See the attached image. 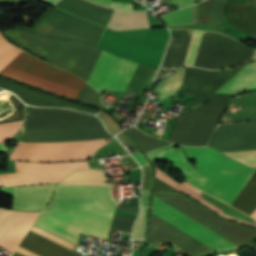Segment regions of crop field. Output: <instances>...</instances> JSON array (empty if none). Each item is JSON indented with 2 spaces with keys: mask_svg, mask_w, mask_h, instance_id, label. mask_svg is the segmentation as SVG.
<instances>
[{
  "mask_svg": "<svg viewBox=\"0 0 256 256\" xmlns=\"http://www.w3.org/2000/svg\"><path fill=\"white\" fill-rule=\"evenodd\" d=\"M115 209L42 213L35 225L77 244L79 233L107 239ZM136 218H113L111 229L131 233Z\"/></svg>",
  "mask_w": 256,
  "mask_h": 256,
  "instance_id": "crop-field-6",
  "label": "crop field"
},
{
  "mask_svg": "<svg viewBox=\"0 0 256 256\" xmlns=\"http://www.w3.org/2000/svg\"><path fill=\"white\" fill-rule=\"evenodd\" d=\"M107 115V114H106ZM105 114H99L100 118L104 121L108 129L114 133L115 131L119 130L120 128L117 126V124L112 120L111 117L106 116Z\"/></svg>",
  "mask_w": 256,
  "mask_h": 256,
  "instance_id": "crop-field-37",
  "label": "crop field"
},
{
  "mask_svg": "<svg viewBox=\"0 0 256 256\" xmlns=\"http://www.w3.org/2000/svg\"><path fill=\"white\" fill-rule=\"evenodd\" d=\"M31 231H33V232H35V233H37L39 235H42V236H44V237H46L48 239H51V240H53V241H55V242H57L59 244H62V245L66 246V247H68L70 249H72L74 247V245H72V244H70V243H68V242H66V241H64V240H62V239H60V238H58V237H56V236L46 232V231L38 228V227L33 226Z\"/></svg>",
  "mask_w": 256,
  "mask_h": 256,
  "instance_id": "crop-field-34",
  "label": "crop field"
},
{
  "mask_svg": "<svg viewBox=\"0 0 256 256\" xmlns=\"http://www.w3.org/2000/svg\"><path fill=\"white\" fill-rule=\"evenodd\" d=\"M208 146L221 152L256 150V122L219 126ZM224 154L256 168V151Z\"/></svg>",
  "mask_w": 256,
  "mask_h": 256,
  "instance_id": "crop-field-10",
  "label": "crop field"
},
{
  "mask_svg": "<svg viewBox=\"0 0 256 256\" xmlns=\"http://www.w3.org/2000/svg\"><path fill=\"white\" fill-rule=\"evenodd\" d=\"M16 29L46 38L80 41L93 46H96L103 32L50 8L46 9L33 28L18 25ZM25 31L6 30L4 34L12 42L47 62L87 80L101 50L79 42L46 39ZM136 66L137 63L103 50L87 82L100 94L103 89L125 91Z\"/></svg>",
  "mask_w": 256,
  "mask_h": 256,
  "instance_id": "crop-field-1",
  "label": "crop field"
},
{
  "mask_svg": "<svg viewBox=\"0 0 256 256\" xmlns=\"http://www.w3.org/2000/svg\"><path fill=\"white\" fill-rule=\"evenodd\" d=\"M6 150V147L2 144H0V152H4Z\"/></svg>",
  "mask_w": 256,
  "mask_h": 256,
  "instance_id": "crop-field-48",
  "label": "crop field"
},
{
  "mask_svg": "<svg viewBox=\"0 0 256 256\" xmlns=\"http://www.w3.org/2000/svg\"><path fill=\"white\" fill-rule=\"evenodd\" d=\"M225 0H212L209 8V20L221 22V8Z\"/></svg>",
  "mask_w": 256,
  "mask_h": 256,
  "instance_id": "crop-field-32",
  "label": "crop field"
},
{
  "mask_svg": "<svg viewBox=\"0 0 256 256\" xmlns=\"http://www.w3.org/2000/svg\"><path fill=\"white\" fill-rule=\"evenodd\" d=\"M196 5L161 17L166 26L195 23Z\"/></svg>",
  "mask_w": 256,
  "mask_h": 256,
  "instance_id": "crop-field-26",
  "label": "crop field"
},
{
  "mask_svg": "<svg viewBox=\"0 0 256 256\" xmlns=\"http://www.w3.org/2000/svg\"><path fill=\"white\" fill-rule=\"evenodd\" d=\"M158 170H159V169H158ZM158 170H157V167H156L155 177L161 179L162 181H164V182L168 183L169 185L173 186L174 188H176V189L180 190L181 192L187 194L188 196L192 197V198L195 199L196 201H198V202H200L201 204L205 205L206 207L210 208V209L213 210L214 212H216V213H218V214H220V215H223V216L232 218V219H234V220H236V221H239V222H241V223H243V224H247V225H251V226H255V227H256V225H253V224H250V223H248V222H245V221H242V220H239V219L230 217V216H228V215L222 213L221 210H219L218 208H216V207L210 205L209 203H207L206 201H204L203 199H201L200 197H198L197 195L200 193V191H198V190L194 189L193 187H191L186 181H185L184 183H182L181 185H183V186L189 188L190 190L196 192L197 194L194 193V192H192V191H190V190H188L187 188H185V187L179 185V184L176 183L174 180H172L171 178H169V177H168L165 173H163L161 170H159V172L162 173V174H164V175H166L167 177H165V176L159 174V173H158ZM177 184H178V185H177ZM176 185L179 186V187H181L182 189H184V190H186V191H190V192H192V193H194V194H196V195H194V194H192V193H190V192H186V191L182 190L181 188L177 187Z\"/></svg>",
  "mask_w": 256,
  "mask_h": 256,
  "instance_id": "crop-field-23",
  "label": "crop field"
},
{
  "mask_svg": "<svg viewBox=\"0 0 256 256\" xmlns=\"http://www.w3.org/2000/svg\"><path fill=\"white\" fill-rule=\"evenodd\" d=\"M23 121L0 124V142L12 136L21 126Z\"/></svg>",
  "mask_w": 256,
  "mask_h": 256,
  "instance_id": "crop-field-31",
  "label": "crop field"
},
{
  "mask_svg": "<svg viewBox=\"0 0 256 256\" xmlns=\"http://www.w3.org/2000/svg\"><path fill=\"white\" fill-rule=\"evenodd\" d=\"M141 129H143L144 125L143 124H137Z\"/></svg>",
  "mask_w": 256,
  "mask_h": 256,
  "instance_id": "crop-field-49",
  "label": "crop field"
},
{
  "mask_svg": "<svg viewBox=\"0 0 256 256\" xmlns=\"http://www.w3.org/2000/svg\"><path fill=\"white\" fill-rule=\"evenodd\" d=\"M108 27L117 30H126L150 27V25L146 11L126 12L116 10Z\"/></svg>",
  "mask_w": 256,
  "mask_h": 256,
  "instance_id": "crop-field-21",
  "label": "crop field"
},
{
  "mask_svg": "<svg viewBox=\"0 0 256 256\" xmlns=\"http://www.w3.org/2000/svg\"><path fill=\"white\" fill-rule=\"evenodd\" d=\"M134 156L138 159L141 165L149 164V162L145 159V157L140 152L134 154Z\"/></svg>",
  "mask_w": 256,
  "mask_h": 256,
  "instance_id": "crop-field-43",
  "label": "crop field"
},
{
  "mask_svg": "<svg viewBox=\"0 0 256 256\" xmlns=\"http://www.w3.org/2000/svg\"><path fill=\"white\" fill-rule=\"evenodd\" d=\"M256 88V62L249 63L228 83H226L218 93H237Z\"/></svg>",
  "mask_w": 256,
  "mask_h": 256,
  "instance_id": "crop-field-20",
  "label": "crop field"
},
{
  "mask_svg": "<svg viewBox=\"0 0 256 256\" xmlns=\"http://www.w3.org/2000/svg\"><path fill=\"white\" fill-rule=\"evenodd\" d=\"M231 97V95L214 94L206 104L227 107Z\"/></svg>",
  "mask_w": 256,
  "mask_h": 256,
  "instance_id": "crop-field-33",
  "label": "crop field"
},
{
  "mask_svg": "<svg viewBox=\"0 0 256 256\" xmlns=\"http://www.w3.org/2000/svg\"><path fill=\"white\" fill-rule=\"evenodd\" d=\"M154 196L165 201L237 246L256 237V230L221 219L186 199L184 196L160 194H154ZM156 197L153 198L152 214L215 251L237 248V246L231 244ZM154 215H152L151 220L149 244L171 243L190 256H197L214 251Z\"/></svg>",
  "mask_w": 256,
  "mask_h": 256,
  "instance_id": "crop-field-3",
  "label": "crop field"
},
{
  "mask_svg": "<svg viewBox=\"0 0 256 256\" xmlns=\"http://www.w3.org/2000/svg\"><path fill=\"white\" fill-rule=\"evenodd\" d=\"M146 213H147V208L141 207L140 217L137 220L135 227H134L133 240H143V238H144Z\"/></svg>",
  "mask_w": 256,
  "mask_h": 256,
  "instance_id": "crop-field-30",
  "label": "crop field"
},
{
  "mask_svg": "<svg viewBox=\"0 0 256 256\" xmlns=\"http://www.w3.org/2000/svg\"><path fill=\"white\" fill-rule=\"evenodd\" d=\"M20 50L0 34V72ZM0 75L75 100L85 83L77 76L52 67L23 50Z\"/></svg>",
  "mask_w": 256,
  "mask_h": 256,
  "instance_id": "crop-field-5",
  "label": "crop field"
},
{
  "mask_svg": "<svg viewBox=\"0 0 256 256\" xmlns=\"http://www.w3.org/2000/svg\"><path fill=\"white\" fill-rule=\"evenodd\" d=\"M13 256H23V255H21V254L15 252V254H14Z\"/></svg>",
  "mask_w": 256,
  "mask_h": 256,
  "instance_id": "crop-field-50",
  "label": "crop field"
},
{
  "mask_svg": "<svg viewBox=\"0 0 256 256\" xmlns=\"http://www.w3.org/2000/svg\"><path fill=\"white\" fill-rule=\"evenodd\" d=\"M118 203L112 198L111 184L66 181L58 183L54 198L44 211L105 209Z\"/></svg>",
  "mask_w": 256,
  "mask_h": 256,
  "instance_id": "crop-field-7",
  "label": "crop field"
},
{
  "mask_svg": "<svg viewBox=\"0 0 256 256\" xmlns=\"http://www.w3.org/2000/svg\"><path fill=\"white\" fill-rule=\"evenodd\" d=\"M48 2H50L52 5H56L57 3H59L61 0H47Z\"/></svg>",
  "mask_w": 256,
  "mask_h": 256,
  "instance_id": "crop-field-47",
  "label": "crop field"
},
{
  "mask_svg": "<svg viewBox=\"0 0 256 256\" xmlns=\"http://www.w3.org/2000/svg\"><path fill=\"white\" fill-rule=\"evenodd\" d=\"M56 184L0 188L2 193L12 195L15 210L42 211L48 203Z\"/></svg>",
  "mask_w": 256,
  "mask_h": 256,
  "instance_id": "crop-field-14",
  "label": "crop field"
},
{
  "mask_svg": "<svg viewBox=\"0 0 256 256\" xmlns=\"http://www.w3.org/2000/svg\"><path fill=\"white\" fill-rule=\"evenodd\" d=\"M78 101L101 109L105 108V106H103L99 102L98 93L94 91L91 87H89L87 84Z\"/></svg>",
  "mask_w": 256,
  "mask_h": 256,
  "instance_id": "crop-field-29",
  "label": "crop field"
},
{
  "mask_svg": "<svg viewBox=\"0 0 256 256\" xmlns=\"http://www.w3.org/2000/svg\"><path fill=\"white\" fill-rule=\"evenodd\" d=\"M183 147L189 158L195 159V167L201 174L238 194L254 172V169L239 164L211 148Z\"/></svg>",
  "mask_w": 256,
  "mask_h": 256,
  "instance_id": "crop-field-8",
  "label": "crop field"
},
{
  "mask_svg": "<svg viewBox=\"0 0 256 256\" xmlns=\"http://www.w3.org/2000/svg\"><path fill=\"white\" fill-rule=\"evenodd\" d=\"M38 215L39 213L20 212L9 230L0 240V247L13 253Z\"/></svg>",
  "mask_w": 256,
  "mask_h": 256,
  "instance_id": "crop-field-18",
  "label": "crop field"
},
{
  "mask_svg": "<svg viewBox=\"0 0 256 256\" xmlns=\"http://www.w3.org/2000/svg\"><path fill=\"white\" fill-rule=\"evenodd\" d=\"M173 4L178 5L179 9L192 4V0H172ZM194 4V0H193Z\"/></svg>",
  "mask_w": 256,
  "mask_h": 256,
  "instance_id": "crop-field-40",
  "label": "crop field"
},
{
  "mask_svg": "<svg viewBox=\"0 0 256 256\" xmlns=\"http://www.w3.org/2000/svg\"><path fill=\"white\" fill-rule=\"evenodd\" d=\"M243 66L221 71H204L202 69L186 68V74L182 84L188 86L185 92L186 94L195 96L191 106L204 103Z\"/></svg>",
  "mask_w": 256,
  "mask_h": 256,
  "instance_id": "crop-field-12",
  "label": "crop field"
},
{
  "mask_svg": "<svg viewBox=\"0 0 256 256\" xmlns=\"http://www.w3.org/2000/svg\"><path fill=\"white\" fill-rule=\"evenodd\" d=\"M126 131L132 137V139L137 143V145L142 149L143 152L169 143L166 141L149 137L144 133H142L140 130H138L136 127L126 129Z\"/></svg>",
  "mask_w": 256,
  "mask_h": 256,
  "instance_id": "crop-field-25",
  "label": "crop field"
},
{
  "mask_svg": "<svg viewBox=\"0 0 256 256\" xmlns=\"http://www.w3.org/2000/svg\"><path fill=\"white\" fill-rule=\"evenodd\" d=\"M185 69H180L175 73L163 79L155 88V91L161 92L160 100L166 98L171 94H175L183 80Z\"/></svg>",
  "mask_w": 256,
  "mask_h": 256,
  "instance_id": "crop-field-24",
  "label": "crop field"
},
{
  "mask_svg": "<svg viewBox=\"0 0 256 256\" xmlns=\"http://www.w3.org/2000/svg\"><path fill=\"white\" fill-rule=\"evenodd\" d=\"M102 170V169H101ZM99 169L94 170H82V171H74L62 181L66 180H94V181H107L105 174L103 171Z\"/></svg>",
  "mask_w": 256,
  "mask_h": 256,
  "instance_id": "crop-field-27",
  "label": "crop field"
},
{
  "mask_svg": "<svg viewBox=\"0 0 256 256\" xmlns=\"http://www.w3.org/2000/svg\"><path fill=\"white\" fill-rule=\"evenodd\" d=\"M0 87L11 90L15 92L24 102L30 105L35 106H61V107H68L78 110L87 111L93 114H96L97 112L92 111L90 109L77 106L68 102H65L63 100L57 99L52 96H48L45 94H41L32 90H28L22 87H19L17 85L11 84L9 82L0 80Z\"/></svg>",
  "mask_w": 256,
  "mask_h": 256,
  "instance_id": "crop-field-17",
  "label": "crop field"
},
{
  "mask_svg": "<svg viewBox=\"0 0 256 256\" xmlns=\"http://www.w3.org/2000/svg\"><path fill=\"white\" fill-rule=\"evenodd\" d=\"M112 137L90 114L65 109L26 108L20 142H60ZM105 139L61 143H18L10 159L63 161L88 159Z\"/></svg>",
  "mask_w": 256,
  "mask_h": 256,
  "instance_id": "crop-field-2",
  "label": "crop field"
},
{
  "mask_svg": "<svg viewBox=\"0 0 256 256\" xmlns=\"http://www.w3.org/2000/svg\"><path fill=\"white\" fill-rule=\"evenodd\" d=\"M17 252H19V253H21V254H23L25 256H38V255H36V254H34V253H32V252H30V251L20 247V246L18 247Z\"/></svg>",
  "mask_w": 256,
  "mask_h": 256,
  "instance_id": "crop-field-44",
  "label": "crop field"
},
{
  "mask_svg": "<svg viewBox=\"0 0 256 256\" xmlns=\"http://www.w3.org/2000/svg\"><path fill=\"white\" fill-rule=\"evenodd\" d=\"M224 14L227 22L234 28L256 35V0L227 1Z\"/></svg>",
  "mask_w": 256,
  "mask_h": 256,
  "instance_id": "crop-field-15",
  "label": "crop field"
},
{
  "mask_svg": "<svg viewBox=\"0 0 256 256\" xmlns=\"http://www.w3.org/2000/svg\"><path fill=\"white\" fill-rule=\"evenodd\" d=\"M18 214V211L0 209V239L8 230Z\"/></svg>",
  "mask_w": 256,
  "mask_h": 256,
  "instance_id": "crop-field-28",
  "label": "crop field"
},
{
  "mask_svg": "<svg viewBox=\"0 0 256 256\" xmlns=\"http://www.w3.org/2000/svg\"><path fill=\"white\" fill-rule=\"evenodd\" d=\"M153 192L182 195L179 192L175 191L174 189L170 188L169 186L165 185L164 183L160 182L157 179H155V181H154Z\"/></svg>",
  "mask_w": 256,
  "mask_h": 256,
  "instance_id": "crop-field-35",
  "label": "crop field"
},
{
  "mask_svg": "<svg viewBox=\"0 0 256 256\" xmlns=\"http://www.w3.org/2000/svg\"><path fill=\"white\" fill-rule=\"evenodd\" d=\"M15 167L16 173L0 175V180L4 185L58 181L74 169L89 168L87 161L53 163L15 161Z\"/></svg>",
  "mask_w": 256,
  "mask_h": 256,
  "instance_id": "crop-field-11",
  "label": "crop field"
},
{
  "mask_svg": "<svg viewBox=\"0 0 256 256\" xmlns=\"http://www.w3.org/2000/svg\"><path fill=\"white\" fill-rule=\"evenodd\" d=\"M89 1L109 7L111 0H89Z\"/></svg>",
  "mask_w": 256,
  "mask_h": 256,
  "instance_id": "crop-field-45",
  "label": "crop field"
},
{
  "mask_svg": "<svg viewBox=\"0 0 256 256\" xmlns=\"http://www.w3.org/2000/svg\"><path fill=\"white\" fill-rule=\"evenodd\" d=\"M203 1V0H202Z\"/></svg>",
  "mask_w": 256,
  "mask_h": 256,
  "instance_id": "crop-field-51",
  "label": "crop field"
},
{
  "mask_svg": "<svg viewBox=\"0 0 256 256\" xmlns=\"http://www.w3.org/2000/svg\"><path fill=\"white\" fill-rule=\"evenodd\" d=\"M170 146H172V144H171V145H168V146H165V147H162V148H159V149H156V150H154V151L148 152V153H146V155L149 157V159H150L152 162L160 161V154H161V152H162L164 149H166V148H168V147H170Z\"/></svg>",
  "mask_w": 256,
  "mask_h": 256,
  "instance_id": "crop-field-38",
  "label": "crop field"
},
{
  "mask_svg": "<svg viewBox=\"0 0 256 256\" xmlns=\"http://www.w3.org/2000/svg\"><path fill=\"white\" fill-rule=\"evenodd\" d=\"M143 170H144V179H143V184L141 189L150 190L152 166L149 165V166L143 167Z\"/></svg>",
  "mask_w": 256,
  "mask_h": 256,
  "instance_id": "crop-field-36",
  "label": "crop field"
},
{
  "mask_svg": "<svg viewBox=\"0 0 256 256\" xmlns=\"http://www.w3.org/2000/svg\"><path fill=\"white\" fill-rule=\"evenodd\" d=\"M225 108L202 105L175 118L169 141L176 144L206 145Z\"/></svg>",
  "mask_w": 256,
  "mask_h": 256,
  "instance_id": "crop-field-9",
  "label": "crop field"
},
{
  "mask_svg": "<svg viewBox=\"0 0 256 256\" xmlns=\"http://www.w3.org/2000/svg\"><path fill=\"white\" fill-rule=\"evenodd\" d=\"M193 30H177L171 47H168L162 69L182 67ZM203 31L194 30L183 66H192ZM255 48L223 36L203 32L202 40L193 66L218 69L249 61L255 54ZM254 59H256V54Z\"/></svg>",
  "mask_w": 256,
  "mask_h": 256,
  "instance_id": "crop-field-4",
  "label": "crop field"
},
{
  "mask_svg": "<svg viewBox=\"0 0 256 256\" xmlns=\"http://www.w3.org/2000/svg\"><path fill=\"white\" fill-rule=\"evenodd\" d=\"M117 208L135 213L137 212V205H130V206H118Z\"/></svg>",
  "mask_w": 256,
  "mask_h": 256,
  "instance_id": "crop-field-42",
  "label": "crop field"
},
{
  "mask_svg": "<svg viewBox=\"0 0 256 256\" xmlns=\"http://www.w3.org/2000/svg\"><path fill=\"white\" fill-rule=\"evenodd\" d=\"M110 7L114 8H121V9H127V10H133V6L130 3H116V2H111Z\"/></svg>",
  "mask_w": 256,
  "mask_h": 256,
  "instance_id": "crop-field-39",
  "label": "crop field"
},
{
  "mask_svg": "<svg viewBox=\"0 0 256 256\" xmlns=\"http://www.w3.org/2000/svg\"><path fill=\"white\" fill-rule=\"evenodd\" d=\"M20 246L40 256H81L31 231Z\"/></svg>",
  "mask_w": 256,
  "mask_h": 256,
  "instance_id": "crop-field-19",
  "label": "crop field"
},
{
  "mask_svg": "<svg viewBox=\"0 0 256 256\" xmlns=\"http://www.w3.org/2000/svg\"><path fill=\"white\" fill-rule=\"evenodd\" d=\"M56 7L81 16L103 26H107L113 10L103 8L84 0H62Z\"/></svg>",
  "mask_w": 256,
  "mask_h": 256,
  "instance_id": "crop-field-16",
  "label": "crop field"
},
{
  "mask_svg": "<svg viewBox=\"0 0 256 256\" xmlns=\"http://www.w3.org/2000/svg\"><path fill=\"white\" fill-rule=\"evenodd\" d=\"M231 206L252 217L256 214V173H254ZM254 217L256 218V215Z\"/></svg>",
  "mask_w": 256,
  "mask_h": 256,
  "instance_id": "crop-field-22",
  "label": "crop field"
},
{
  "mask_svg": "<svg viewBox=\"0 0 256 256\" xmlns=\"http://www.w3.org/2000/svg\"><path fill=\"white\" fill-rule=\"evenodd\" d=\"M162 155L165 160L171 162L172 165L197 188L213 195L214 197L230 205L238 196L235 193L225 189L224 187L197 173L191 166V164L186 161L182 149L171 147L163 151Z\"/></svg>",
  "mask_w": 256,
  "mask_h": 256,
  "instance_id": "crop-field-13",
  "label": "crop field"
},
{
  "mask_svg": "<svg viewBox=\"0 0 256 256\" xmlns=\"http://www.w3.org/2000/svg\"><path fill=\"white\" fill-rule=\"evenodd\" d=\"M149 191L141 190V205L147 206Z\"/></svg>",
  "mask_w": 256,
  "mask_h": 256,
  "instance_id": "crop-field-41",
  "label": "crop field"
},
{
  "mask_svg": "<svg viewBox=\"0 0 256 256\" xmlns=\"http://www.w3.org/2000/svg\"><path fill=\"white\" fill-rule=\"evenodd\" d=\"M154 113H143L140 119H152Z\"/></svg>",
  "mask_w": 256,
  "mask_h": 256,
  "instance_id": "crop-field-46",
  "label": "crop field"
}]
</instances>
